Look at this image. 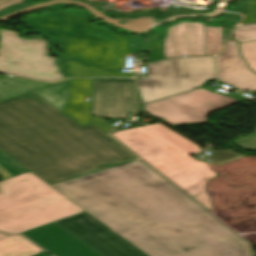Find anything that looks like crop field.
<instances>
[{
	"label": "crop field",
	"mask_w": 256,
	"mask_h": 256,
	"mask_svg": "<svg viewBox=\"0 0 256 256\" xmlns=\"http://www.w3.org/2000/svg\"><path fill=\"white\" fill-rule=\"evenodd\" d=\"M28 172L26 168L0 151V176L4 179Z\"/></svg>",
	"instance_id": "4a817a6b"
},
{
	"label": "crop field",
	"mask_w": 256,
	"mask_h": 256,
	"mask_svg": "<svg viewBox=\"0 0 256 256\" xmlns=\"http://www.w3.org/2000/svg\"><path fill=\"white\" fill-rule=\"evenodd\" d=\"M134 111V80L93 79L92 115L124 119Z\"/></svg>",
	"instance_id": "5a996713"
},
{
	"label": "crop field",
	"mask_w": 256,
	"mask_h": 256,
	"mask_svg": "<svg viewBox=\"0 0 256 256\" xmlns=\"http://www.w3.org/2000/svg\"><path fill=\"white\" fill-rule=\"evenodd\" d=\"M233 33L239 43L256 41V25L237 27Z\"/></svg>",
	"instance_id": "214f88e0"
},
{
	"label": "crop field",
	"mask_w": 256,
	"mask_h": 256,
	"mask_svg": "<svg viewBox=\"0 0 256 256\" xmlns=\"http://www.w3.org/2000/svg\"><path fill=\"white\" fill-rule=\"evenodd\" d=\"M214 156L206 157L209 158L213 165H218L224 162H228L237 158L244 157L232 150L214 152Z\"/></svg>",
	"instance_id": "dafd665d"
},
{
	"label": "crop field",
	"mask_w": 256,
	"mask_h": 256,
	"mask_svg": "<svg viewBox=\"0 0 256 256\" xmlns=\"http://www.w3.org/2000/svg\"><path fill=\"white\" fill-rule=\"evenodd\" d=\"M90 215L84 212L55 223L102 256H148Z\"/></svg>",
	"instance_id": "d8731c3e"
},
{
	"label": "crop field",
	"mask_w": 256,
	"mask_h": 256,
	"mask_svg": "<svg viewBox=\"0 0 256 256\" xmlns=\"http://www.w3.org/2000/svg\"><path fill=\"white\" fill-rule=\"evenodd\" d=\"M159 38V34L151 35V51L149 54V62L165 59L163 43H159Z\"/></svg>",
	"instance_id": "92a150f3"
},
{
	"label": "crop field",
	"mask_w": 256,
	"mask_h": 256,
	"mask_svg": "<svg viewBox=\"0 0 256 256\" xmlns=\"http://www.w3.org/2000/svg\"><path fill=\"white\" fill-rule=\"evenodd\" d=\"M42 251L22 236H8L0 240V256H33Z\"/></svg>",
	"instance_id": "5142ce71"
},
{
	"label": "crop field",
	"mask_w": 256,
	"mask_h": 256,
	"mask_svg": "<svg viewBox=\"0 0 256 256\" xmlns=\"http://www.w3.org/2000/svg\"><path fill=\"white\" fill-rule=\"evenodd\" d=\"M6 236H8V235L1 234V233H0V239H1V238H4V237H6Z\"/></svg>",
	"instance_id": "ae1a2a85"
},
{
	"label": "crop field",
	"mask_w": 256,
	"mask_h": 256,
	"mask_svg": "<svg viewBox=\"0 0 256 256\" xmlns=\"http://www.w3.org/2000/svg\"><path fill=\"white\" fill-rule=\"evenodd\" d=\"M222 49H223L222 27H206L207 55L219 53Z\"/></svg>",
	"instance_id": "733c2abd"
},
{
	"label": "crop field",
	"mask_w": 256,
	"mask_h": 256,
	"mask_svg": "<svg viewBox=\"0 0 256 256\" xmlns=\"http://www.w3.org/2000/svg\"><path fill=\"white\" fill-rule=\"evenodd\" d=\"M69 81L0 103V150L149 256H251L244 239L93 124L63 113ZM68 198V199H69Z\"/></svg>",
	"instance_id": "8a807250"
},
{
	"label": "crop field",
	"mask_w": 256,
	"mask_h": 256,
	"mask_svg": "<svg viewBox=\"0 0 256 256\" xmlns=\"http://www.w3.org/2000/svg\"><path fill=\"white\" fill-rule=\"evenodd\" d=\"M52 84L5 75L0 78V102Z\"/></svg>",
	"instance_id": "cbeb9de0"
},
{
	"label": "crop field",
	"mask_w": 256,
	"mask_h": 256,
	"mask_svg": "<svg viewBox=\"0 0 256 256\" xmlns=\"http://www.w3.org/2000/svg\"><path fill=\"white\" fill-rule=\"evenodd\" d=\"M239 47L249 68L256 73V42L239 44Z\"/></svg>",
	"instance_id": "bc2a9ffb"
},
{
	"label": "crop field",
	"mask_w": 256,
	"mask_h": 256,
	"mask_svg": "<svg viewBox=\"0 0 256 256\" xmlns=\"http://www.w3.org/2000/svg\"><path fill=\"white\" fill-rule=\"evenodd\" d=\"M256 23V0H249L245 19L241 24Z\"/></svg>",
	"instance_id": "a9b5d70f"
},
{
	"label": "crop field",
	"mask_w": 256,
	"mask_h": 256,
	"mask_svg": "<svg viewBox=\"0 0 256 256\" xmlns=\"http://www.w3.org/2000/svg\"><path fill=\"white\" fill-rule=\"evenodd\" d=\"M92 122L94 125H96L97 127H99L100 129H102L103 131H105L106 133H109V131L114 128L115 126L109 124L107 121H105L104 119H100V118H95L92 117Z\"/></svg>",
	"instance_id": "4177f3b9"
},
{
	"label": "crop field",
	"mask_w": 256,
	"mask_h": 256,
	"mask_svg": "<svg viewBox=\"0 0 256 256\" xmlns=\"http://www.w3.org/2000/svg\"><path fill=\"white\" fill-rule=\"evenodd\" d=\"M32 28H57L65 42L64 55L121 72L129 54L128 38L87 22L78 10L52 12L26 18Z\"/></svg>",
	"instance_id": "412701ff"
},
{
	"label": "crop field",
	"mask_w": 256,
	"mask_h": 256,
	"mask_svg": "<svg viewBox=\"0 0 256 256\" xmlns=\"http://www.w3.org/2000/svg\"><path fill=\"white\" fill-rule=\"evenodd\" d=\"M84 211L30 172L0 182V231L21 233Z\"/></svg>",
	"instance_id": "34b2d1b8"
},
{
	"label": "crop field",
	"mask_w": 256,
	"mask_h": 256,
	"mask_svg": "<svg viewBox=\"0 0 256 256\" xmlns=\"http://www.w3.org/2000/svg\"><path fill=\"white\" fill-rule=\"evenodd\" d=\"M22 2V0H0V10L14 3Z\"/></svg>",
	"instance_id": "730fd06b"
},
{
	"label": "crop field",
	"mask_w": 256,
	"mask_h": 256,
	"mask_svg": "<svg viewBox=\"0 0 256 256\" xmlns=\"http://www.w3.org/2000/svg\"><path fill=\"white\" fill-rule=\"evenodd\" d=\"M69 68L67 72L77 77H94V76H125L134 77V73H115L99 67L86 66L78 63L77 61H66Z\"/></svg>",
	"instance_id": "d9b57169"
},
{
	"label": "crop field",
	"mask_w": 256,
	"mask_h": 256,
	"mask_svg": "<svg viewBox=\"0 0 256 256\" xmlns=\"http://www.w3.org/2000/svg\"><path fill=\"white\" fill-rule=\"evenodd\" d=\"M148 79L137 80L143 103L190 91L215 78L213 56L170 59L147 65Z\"/></svg>",
	"instance_id": "f4fd0767"
},
{
	"label": "crop field",
	"mask_w": 256,
	"mask_h": 256,
	"mask_svg": "<svg viewBox=\"0 0 256 256\" xmlns=\"http://www.w3.org/2000/svg\"><path fill=\"white\" fill-rule=\"evenodd\" d=\"M35 256H50V255L46 254L45 252H42V253L37 254V255H35Z\"/></svg>",
	"instance_id": "eef30255"
},
{
	"label": "crop field",
	"mask_w": 256,
	"mask_h": 256,
	"mask_svg": "<svg viewBox=\"0 0 256 256\" xmlns=\"http://www.w3.org/2000/svg\"><path fill=\"white\" fill-rule=\"evenodd\" d=\"M187 104L189 113L180 105ZM234 104L225 96L211 93L203 88L171 96L145 104L146 112L167 120L171 124L208 121L205 117L211 111Z\"/></svg>",
	"instance_id": "e52e79f7"
},
{
	"label": "crop field",
	"mask_w": 256,
	"mask_h": 256,
	"mask_svg": "<svg viewBox=\"0 0 256 256\" xmlns=\"http://www.w3.org/2000/svg\"><path fill=\"white\" fill-rule=\"evenodd\" d=\"M19 38L0 28V72L43 81L64 79L59 58L47 56V40L41 36Z\"/></svg>",
	"instance_id": "dd49c442"
},
{
	"label": "crop field",
	"mask_w": 256,
	"mask_h": 256,
	"mask_svg": "<svg viewBox=\"0 0 256 256\" xmlns=\"http://www.w3.org/2000/svg\"><path fill=\"white\" fill-rule=\"evenodd\" d=\"M217 62L218 77L223 82L243 91H256V74L247 68L235 41L228 40L226 51L217 56Z\"/></svg>",
	"instance_id": "d1516ede"
},
{
	"label": "crop field",
	"mask_w": 256,
	"mask_h": 256,
	"mask_svg": "<svg viewBox=\"0 0 256 256\" xmlns=\"http://www.w3.org/2000/svg\"><path fill=\"white\" fill-rule=\"evenodd\" d=\"M164 49L166 58L206 55L205 25L200 22H181L167 29Z\"/></svg>",
	"instance_id": "28ad6ade"
},
{
	"label": "crop field",
	"mask_w": 256,
	"mask_h": 256,
	"mask_svg": "<svg viewBox=\"0 0 256 256\" xmlns=\"http://www.w3.org/2000/svg\"><path fill=\"white\" fill-rule=\"evenodd\" d=\"M113 136L200 204L212 209L205 193L206 181L217 175L207 163L188 155L201 151L195 143L159 124L120 131Z\"/></svg>",
	"instance_id": "ac0d7876"
},
{
	"label": "crop field",
	"mask_w": 256,
	"mask_h": 256,
	"mask_svg": "<svg viewBox=\"0 0 256 256\" xmlns=\"http://www.w3.org/2000/svg\"><path fill=\"white\" fill-rule=\"evenodd\" d=\"M21 234L31 238L54 256H100L54 223Z\"/></svg>",
	"instance_id": "3316defc"
},
{
	"label": "crop field",
	"mask_w": 256,
	"mask_h": 256,
	"mask_svg": "<svg viewBox=\"0 0 256 256\" xmlns=\"http://www.w3.org/2000/svg\"><path fill=\"white\" fill-rule=\"evenodd\" d=\"M245 150H256V134L233 141Z\"/></svg>",
	"instance_id": "00972430"
},
{
	"label": "crop field",
	"mask_w": 256,
	"mask_h": 256,
	"mask_svg": "<svg viewBox=\"0 0 256 256\" xmlns=\"http://www.w3.org/2000/svg\"><path fill=\"white\" fill-rule=\"evenodd\" d=\"M90 95V79H72L71 99L65 113L82 125L89 122L90 102H85L84 97H90Z\"/></svg>",
	"instance_id": "22f410ed"
}]
</instances>
